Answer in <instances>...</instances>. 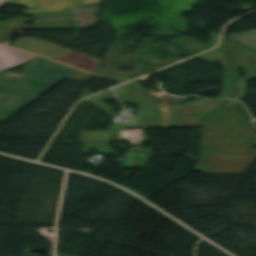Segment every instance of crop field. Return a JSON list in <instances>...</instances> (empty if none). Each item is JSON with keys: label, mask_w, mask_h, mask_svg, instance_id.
I'll use <instances>...</instances> for the list:
<instances>
[{"label": "crop field", "mask_w": 256, "mask_h": 256, "mask_svg": "<svg viewBox=\"0 0 256 256\" xmlns=\"http://www.w3.org/2000/svg\"><path fill=\"white\" fill-rule=\"evenodd\" d=\"M55 60L78 67L80 69L86 70L91 73H93V71L95 70V68L100 62L98 59H95L77 52L71 53L69 55L60 57Z\"/></svg>", "instance_id": "crop-field-10"}, {"label": "crop field", "mask_w": 256, "mask_h": 256, "mask_svg": "<svg viewBox=\"0 0 256 256\" xmlns=\"http://www.w3.org/2000/svg\"><path fill=\"white\" fill-rule=\"evenodd\" d=\"M114 99V95H113V91L110 90L107 93H101L98 94L96 96H93L87 100H85V102L97 107L98 109L112 115L113 114V110L114 107L102 102L104 100H111Z\"/></svg>", "instance_id": "crop-field-12"}, {"label": "crop field", "mask_w": 256, "mask_h": 256, "mask_svg": "<svg viewBox=\"0 0 256 256\" xmlns=\"http://www.w3.org/2000/svg\"><path fill=\"white\" fill-rule=\"evenodd\" d=\"M144 91L137 80L116 87L117 98L122 104L140 106L137 117L133 118L136 128L201 127V119L226 101L194 100L193 103L168 106L167 103L156 104L142 93Z\"/></svg>", "instance_id": "crop-field-2"}, {"label": "crop field", "mask_w": 256, "mask_h": 256, "mask_svg": "<svg viewBox=\"0 0 256 256\" xmlns=\"http://www.w3.org/2000/svg\"><path fill=\"white\" fill-rule=\"evenodd\" d=\"M12 46L52 59L74 52L33 37L21 38Z\"/></svg>", "instance_id": "crop-field-6"}, {"label": "crop field", "mask_w": 256, "mask_h": 256, "mask_svg": "<svg viewBox=\"0 0 256 256\" xmlns=\"http://www.w3.org/2000/svg\"><path fill=\"white\" fill-rule=\"evenodd\" d=\"M200 158L195 171L207 174H244L256 160V149L201 148Z\"/></svg>", "instance_id": "crop-field-3"}, {"label": "crop field", "mask_w": 256, "mask_h": 256, "mask_svg": "<svg viewBox=\"0 0 256 256\" xmlns=\"http://www.w3.org/2000/svg\"><path fill=\"white\" fill-rule=\"evenodd\" d=\"M32 17H34L35 20H44V19L68 18L70 16H69V10H64V11H58V12H50V13H44L39 15H33Z\"/></svg>", "instance_id": "crop-field-16"}, {"label": "crop field", "mask_w": 256, "mask_h": 256, "mask_svg": "<svg viewBox=\"0 0 256 256\" xmlns=\"http://www.w3.org/2000/svg\"><path fill=\"white\" fill-rule=\"evenodd\" d=\"M57 28H73L71 24V20L63 19V20L38 22L36 26L28 29H57Z\"/></svg>", "instance_id": "crop-field-13"}, {"label": "crop field", "mask_w": 256, "mask_h": 256, "mask_svg": "<svg viewBox=\"0 0 256 256\" xmlns=\"http://www.w3.org/2000/svg\"><path fill=\"white\" fill-rule=\"evenodd\" d=\"M80 142H110V133H105V131L82 132Z\"/></svg>", "instance_id": "crop-field-14"}, {"label": "crop field", "mask_w": 256, "mask_h": 256, "mask_svg": "<svg viewBox=\"0 0 256 256\" xmlns=\"http://www.w3.org/2000/svg\"><path fill=\"white\" fill-rule=\"evenodd\" d=\"M239 102L236 101H228L226 104H224L222 107H235Z\"/></svg>", "instance_id": "crop-field-18"}, {"label": "crop field", "mask_w": 256, "mask_h": 256, "mask_svg": "<svg viewBox=\"0 0 256 256\" xmlns=\"http://www.w3.org/2000/svg\"><path fill=\"white\" fill-rule=\"evenodd\" d=\"M37 56L0 45V71L21 65Z\"/></svg>", "instance_id": "crop-field-8"}, {"label": "crop field", "mask_w": 256, "mask_h": 256, "mask_svg": "<svg viewBox=\"0 0 256 256\" xmlns=\"http://www.w3.org/2000/svg\"><path fill=\"white\" fill-rule=\"evenodd\" d=\"M95 74L100 75V76H103V77L108 78V79H110V80L116 81V82H118V83H121V82L130 80V79H133V78H130V77H127V76L118 74V73H116V72H113V71H110V70L101 68V67H99V68L97 69V71L95 72Z\"/></svg>", "instance_id": "crop-field-15"}, {"label": "crop field", "mask_w": 256, "mask_h": 256, "mask_svg": "<svg viewBox=\"0 0 256 256\" xmlns=\"http://www.w3.org/2000/svg\"><path fill=\"white\" fill-rule=\"evenodd\" d=\"M228 55L217 51V50H213V51H209L206 52L202 55H199L197 57H200L202 59L208 60L210 62H217L220 59H223L225 57H227ZM221 63L224 68L226 69L225 74H224V79H223V83H224V89L223 91L219 94V96L217 98H230L231 96L234 95L233 92V86H232V80H231V74H230V67H229V61L228 58L225 60H222ZM222 66V67H223Z\"/></svg>", "instance_id": "crop-field-7"}, {"label": "crop field", "mask_w": 256, "mask_h": 256, "mask_svg": "<svg viewBox=\"0 0 256 256\" xmlns=\"http://www.w3.org/2000/svg\"><path fill=\"white\" fill-rule=\"evenodd\" d=\"M100 6L70 9L71 20L74 28L95 27Z\"/></svg>", "instance_id": "crop-field-9"}, {"label": "crop field", "mask_w": 256, "mask_h": 256, "mask_svg": "<svg viewBox=\"0 0 256 256\" xmlns=\"http://www.w3.org/2000/svg\"><path fill=\"white\" fill-rule=\"evenodd\" d=\"M233 66V76L237 95L232 99L240 100L246 94L245 80L256 78V52L247 48H238L230 52ZM243 68L247 74L239 79L238 68Z\"/></svg>", "instance_id": "crop-field-4"}, {"label": "crop field", "mask_w": 256, "mask_h": 256, "mask_svg": "<svg viewBox=\"0 0 256 256\" xmlns=\"http://www.w3.org/2000/svg\"><path fill=\"white\" fill-rule=\"evenodd\" d=\"M0 157H2V156H0ZM4 158H6V157H4ZM8 159H10V158H8ZM13 160V159H12Z\"/></svg>", "instance_id": "crop-field-20"}, {"label": "crop field", "mask_w": 256, "mask_h": 256, "mask_svg": "<svg viewBox=\"0 0 256 256\" xmlns=\"http://www.w3.org/2000/svg\"><path fill=\"white\" fill-rule=\"evenodd\" d=\"M31 20L33 18H15L4 22L0 21V43L7 41L14 29L23 27L26 22Z\"/></svg>", "instance_id": "crop-field-11"}, {"label": "crop field", "mask_w": 256, "mask_h": 256, "mask_svg": "<svg viewBox=\"0 0 256 256\" xmlns=\"http://www.w3.org/2000/svg\"><path fill=\"white\" fill-rule=\"evenodd\" d=\"M90 149H97L99 152L110 153L109 143H84L83 153H90Z\"/></svg>", "instance_id": "crop-field-17"}, {"label": "crop field", "mask_w": 256, "mask_h": 256, "mask_svg": "<svg viewBox=\"0 0 256 256\" xmlns=\"http://www.w3.org/2000/svg\"><path fill=\"white\" fill-rule=\"evenodd\" d=\"M90 77L42 57L24 66L23 73L0 72V121H7L63 78L87 82Z\"/></svg>", "instance_id": "crop-field-1"}, {"label": "crop field", "mask_w": 256, "mask_h": 256, "mask_svg": "<svg viewBox=\"0 0 256 256\" xmlns=\"http://www.w3.org/2000/svg\"><path fill=\"white\" fill-rule=\"evenodd\" d=\"M112 128H134L133 125L132 126H127V125H113Z\"/></svg>", "instance_id": "crop-field-19"}, {"label": "crop field", "mask_w": 256, "mask_h": 256, "mask_svg": "<svg viewBox=\"0 0 256 256\" xmlns=\"http://www.w3.org/2000/svg\"><path fill=\"white\" fill-rule=\"evenodd\" d=\"M1 1V0H0Z\"/></svg>", "instance_id": "crop-field-21"}, {"label": "crop field", "mask_w": 256, "mask_h": 256, "mask_svg": "<svg viewBox=\"0 0 256 256\" xmlns=\"http://www.w3.org/2000/svg\"><path fill=\"white\" fill-rule=\"evenodd\" d=\"M5 2L29 7L24 11L25 15L101 4V0H6Z\"/></svg>", "instance_id": "crop-field-5"}]
</instances>
